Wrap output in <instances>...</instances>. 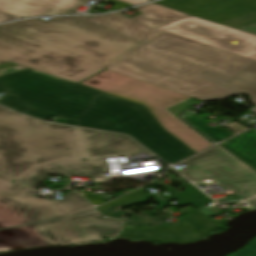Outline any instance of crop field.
<instances>
[{
  "mask_svg": "<svg viewBox=\"0 0 256 256\" xmlns=\"http://www.w3.org/2000/svg\"><path fill=\"white\" fill-rule=\"evenodd\" d=\"M106 156L155 158L124 135L43 123L0 107L1 178L36 190L49 174L106 173ZM30 191L0 179L3 228L94 211L74 191L66 193L63 201L38 199Z\"/></svg>",
  "mask_w": 256,
  "mask_h": 256,
  "instance_id": "1",
  "label": "crop field"
},
{
  "mask_svg": "<svg viewBox=\"0 0 256 256\" xmlns=\"http://www.w3.org/2000/svg\"><path fill=\"white\" fill-rule=\"evenodd\" d=\"M187 16L166 8L129 19L118 12L1 25L0 64L13 62L77 83L163 32L154 28Z\"/></svg>",
  "mask_w": 256,
  "mask_h": 256,
  "instance_id": "2",
  "label": "crop field"
},
{
  "mask_svg": "<svg viewBox=\"0 0 256 256\" xmlns=\"http://www.w3.org/2000/svg\"><path fill=\"white\" fill-rule=\"evenodd\" d=\"M0 105L42 120L52 116L78 126L131 135L168 164L195 154L168 134L143 105L31 69L0 77Z\"/></svg>",
  "mask_w": 256,
  "mask_h": 256,
  "instance_id": "3",
  "label": "crop field"
},
{
  "mask_svg": "<svg viewBox=\"0 0 256 256\" xmlns=\"http://www.w3.org/2000/svg\"><path fill=\"white\" fill-rule=\"evenodd\" d=\"M251 62L253 60L164 32L107 69L210 101L241 94L223 85Z\"/></svg>",
  "mask_w": 256,
  "mask_h": 256,
  "instance_id": "4",
  "label": "crop field"
},
{
  "mask_svg": "<svg viewBox=\"0 0 256 256\" xmlns=\"http://www.w3.org/2000/svg\"><path fill=\"white\" fill-rule=\"evenodd\" d=\"M80 84L145 105L168 133L196 153L211 146L209 141L165 110L191 97L107 69Z\"/></svg>",
  "mask_w": 256,
  "mask_h": 256,
  "instance_id": "5",
  "label": "crop field"
},
{
  "mask_svg": "<svg viewBox=\"0 0 256 256\" xmlns=\"http://www.w3.org/2000/svg\"><path fill=\"white\" fill-rule=\"evenodd\" d=\"M87 226L111 228L87 215L0 231V252L103 240Z\"/></svg>",
  "mask_w": 256,
  "mask_h": 256,
  "instance_id": "6",
  "label": "crop field"
},
{
  "mask_svg": "<svg viewBox=\"0 0 256 256\" xmlns=\"http://www.w3.org/2000/svg\"><path fill=\"white\" fill-rule=\"evenodd\" d=\"M256 60V36L193 16L156 28ZM237 41L234 45L231 41Z\"/></svg>",
  "mask_w": 256,
  "mask_h": 256,
  "instance_id": "7",
  "label": "crop field"
},
{
  "mask_svg": "<svg viewBox=\"0 0 256 256\" xmlns=\"http://www.w3.org/2000/svg\"><path fill=\"white\" fill-rule=\"evenodd\" d=\"M156 3L236 28L256 22V0H162Z\"/></svg>",
  "mask_w": 256,
  "mask_h": 256,
  "instance_id": "8",
  "label": "crop field"
},
{
  "mask_svg": "<svg viewBox=\"0 0 256 256\" xmlns=\"http://www.w3.org/2000/svg\"><path fill=\"white\" fill-rule=\"evenodd\" d=\"M186 165L181 174L190 181L214 179L227 189L235 192L234 196L246 200L256 208V190L224 166L207 151L181 163ZM214 174V176H211Z\"/></svg>",
  "mask_w": 256,
  "mask_h": 256,
  "instance_id": "9",
  "label": "crop field"
},
{
  "mask_svg": "<svg viewBox=\"0 0 256 256\" xmlns=\"http://www.w3.org/2000/svg\"><path fill=\"white\" fill-rule=\"evenodd\" d=\"M91 0H0V11L21 18L35 15L78 14L76 9ZM116 11L149 0H106Z\"/></svg>",
  "mask_w": 256,
  "mask_h": 256,
  "instance_id": "10",
  "label": "crop field"
},
{
  "mask_svg": "<svg viewBox=\"0 0 256 256\" xmlns=\"http://www.w3.org/2000/svg\"><path fill=\"white\" fill-rule=\"evenodd\" d=\"M221 146L256 171V132L249 130Z\"/></svg>",
  "mask_w": 256,
  "mask_h": 256,
  "instance_id": "11",
  "label": "crop field"
},
{
  "mask_svg": "<svg viewBox=\"0 0 256 256\" xmlns=\"http://www.w3.org/2000/svg\"><path fill=\"white\" fill-rule=\"evenodd\" d=\"M208 152L256 189V172L254 170L246 166L220 146L210 149Z\"/></svg>",
  "mask_w": 256,
  "mask_h": 256,
  "instance_id": "12",
  "label": "crop field"
},
{
  "mask_svg": "<svg viewBox=\"0 0 256 256\" xmlns=\"http://www.w3.org/2000/svg\"><path fill=\"white\" fill-rule=\"evenodd\" d=\"M225 86L256 99V61L251 63Z\"/></svg>",
  "mask_w": 256,
  "mask_h": 256,
  "instance_id": "13",
  "label": "crop field"
},
{
  "mask_svg": "<svg viewBox=\"0 0 256 256\" xmlns=\"http://www.w3.org/2000/svg\"><path fill=\"white\" fill-rule=\"evenodd\" d=\"M184 120L217 143L235 135L220 126L209 128L205 125L206 121L202 120L198 114Z\"/></svg>",
  "mask_w": 256,
  "mask_h": 256,
  "instance_id": "14",
  "label": "crop field"
},
{
  "mask_svg": "<svg viewBox=\"0 0 256 256\" xmlns=\"http://www.w3.org/2000/svg\"><path fill=\"white\" fill-rule=\"evenodd\" d=\"M231 256H256V239L246 245L241 251Z\"/></svg>",
  "mask_w": 256,
  "mask_h": 256,
  "instance_id": "15",
  "label": "crop field"
},
{
  "mask_svg": "<svg viewBox=\"0 0 256 256\" xmlns=\"http://www.w3.org/2000/svg\"><path fill=\"white\" fill-rule=\"evenodd\" d=\"M88 215L97 219V220H99V221H101V222H103V223H105V224H107V225H109V226H111V227H113V228H120L122 223H123L122 221L117 220V219H106V220L100 219L101 215H99L97 212L96 213H91V214H88Z\"/></svg>",
  "mask_w": 256,
  "mask_h": 256,
  "instance_id": "16",
  "label": "crop field"
},
{
  "mask_svg": "<svg viewBox=\"0 0 256 256\" xmlns=\"http://www.w3.org/2000/svg\"><path fill=\"white\" fill-rule=\"evenodd\" d=\"M162 8H165V7H161V6L156 5L154 3H150V4H147V5L136 7V9L139 10L142 14L148 13V12H151V11H155V10H159V9H162Z\"/></svg>",
  "mask_w": 256,
  "mask_h": 256,
  "instance_id": "17",
  "label": "crop field"
},
{
  "mask_svg": "<svg viewBox=\"0 0 256 256\" xmlns=\"http://www.w3.org/2000/svg\"><path fill=\"white\" fill-rule=\"evenodd\" d=\"M91 228V227H90ZM100 236H113L117 235L120 229H98V228H91Z\"/></svg>",
  "mask_w": 256,
  "mask_h": 256,
  "instance_id": "18",
  "label": "crop field"
},
{
  "mask_svg": "<svg viewBox=\"0 0 256 256\" xmlns=\"http://www.w3.org/2000/svg\"><path fill=\"white\" fill-rule=\"evenodd\" d=\"M191 99H193V98H191ZM190 100V99H189ZM183 104H184V102H182V103H180V104H178V105H176V106H173V107H171V108H169V109H167L170 113H172L174 116H176L177 118H178V115L181 113V112H183V111H185L186 110V108H184L183 107Z\"/></svg>",
  "mask_w": 256,
  "mask_h": 256,
  "instance_id": "19",
  "label": "crop field"
},
{
  "mask_svg": "<svg viewBox=\"0 0 256 256\" xmlns=\"http://www.w3.org/2000/svg\"><path fill=\"white\" fill-rule=\"evenodd\" d=\"M225 127L229 128V129H231V130H233V131H235L237 133L242 131V130H244V129H246L245 127H243L242 125H240V124H238L236 122L231 123V124H229V125H227Z\"/></svg>",
  "mask_w": 256,
  "mask_h": 256,
  "instance_id": "20",
  "label": "crop field"
},
{
  "mask_svg": "<svg viewBox=\"0 0 256 256\" xmlns=\"http://www.w3.org/2000/svg\"><path fill=\"white\" fill-rule=\"evenodd\" d=\"M15 19H20V18L0 12V22H5V21H10V20H15Z\"/></svg>",
  "mask_w": 256,
  "mask_h": 256,
  "instance_id": "21",
  "label": "crop field"
},
{
  "mask_svg": "<svg viewBox=\"0 0 256 256\" xmlns=\"http://www.w3.org/2000/svg\"><path fill=\"white\" fill-rule=\"evenodd\" d=\"M239 29H242V30H245V31L252 32V33L256 34V23L251 24V25L246 26V27H243V28H239Z\"/></svg>",
  "mask_w": 256,
  "mask_h": 256,
  "instance_id": "22",
  "label": "crop field"
},
{
  "mask_svg": "<svg viewBox=\"0 0 256 256\" xmlns=\"http://www.w3.org/2000/svg\"><path fill=\"white\" fill-rule=\"evenodd\" d=\"M211 210H214V209L213 208H209V209L202 208L199 211L202 212L207 217H209V216H213L214 215V213Z\"/></svg>",
  "mask_w": 256,
  "mask_h": 256,
  "instance_id": "23",
  "label": "crop field"
},
{
  "mask_svg": "<svg viewBox=\"0 0 256 256\" xmlns=\"http://www.w3.org/2000/svg\"><path fill=\"white\" fill-rule=\"evenodd\" d=\"M236 199L237 198H235L233 196H230V197H226V198L221 199L219 202H225V201L236 200Z\"/></svg>",
  "mask_w": 256,
  "mask_h": 256,
  "instance_id": "24",
  "label": "crop field"
},
{
  "mask_svg": "<svg viewBox=\"0 0 256 256\" xmlns=\"http://www.w3.org/2000/svg\"><path fill=\"white\" fill-rule=\"evenodd\" d=\"M250 99H251V101H252L253 103L256 104V100H255V99H253V98H251V97H250ZM253 112L256 113V109H254Z\"/></svg>",
  "mask_w": 256,
  "mask_h": 256,
  "instance_id": "25",
  "label": "crop field"
},
{
  "mask_svg": "<svg viewBox=\"0 0 256 256\" xmlns=\"http://www.w3.org/2000/svg\"><path fill=\"white\" fill-rule=\"evenodd\" d=\"M0 228H2V227H0Z\"/></svg>",
  "mask_w": 256,
  "mask_h": 256,
  "instance_id": "26",
  "label": "crop field"
}]
</instances>
